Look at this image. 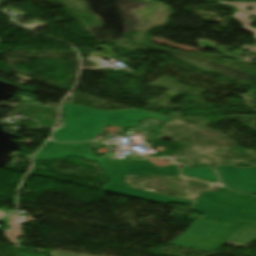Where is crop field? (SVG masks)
Masks as SVG:
<instances>
[{
    "instance_id": "crop-field-5",
    "label": "crop field",
    "mask_w": 256,
    "mask_h": 256,
    "mask_svg": "<svg viewBox=\"0 0 256 256\" xmlns=\"http://www.w3.org/2000/svg\"><path fill=\"white\" fill-rule=\"evenodd\" d=\"M250 16L251 15L237 11V12H235V14L232 17H234L238 21L242 22V24H243L242 28L244 30L255 33L254 37L256 38V29L249 27L253 23V21L248 19Z\"/></svg>"
},
{
    "instance_id": "crop-field-4",
    "label": "crop field",
    "mask_w": 256,
    "mask_h": 256,
    "mask_svg": "<svg viewBox=\"0 0 256 256\" xmlns=\"http://www.w3.org/2000/svg\"><path fill=\"white\" fill-rule=\"evenodd\" d=\"M28 223L26 217L21 215H11L9 220V225L12 227L10 230L4 231L7 238L14 243H19L16 237L24 236L22 230L20 229V224ZM12 233L13 235H10Z\"/></svg>"
},
{
    "instance_id": "crop-field-3",
    "label": "crop field",
    "mask_w": 256,
    "mask_h": 256,
    "mask_svg": "<svg viewBox=\"0 0 256 256\" xmlns=\"http://www.w3.org/2000/svg\"><path fill=\"white\" fill-rule=\"evenodd\" d=\"M182 175L209 182L220 181L223 185L238 191L256 192V167L248 169H240L233 165L211 168L186 167L182 169Z\"/></svg>"
},
{
    "instance_id": "crop-field-7",
    "label": "crop field",
    "mask_w": 256,
    "mask_h": 256,
    "mask_svg": "<svg viewBox=\"0 0 256 256\" xmlns=\"http://www.w3.org/2000/svg\"><path fill=\"white\" fill-rule=\"evenodd\" d=\"M127 175H156L152 171L145 168L129 169L126 170Z\"/></svg>"
},
{
    "instance_id": "crop-field-6",
    "label": "crop field",
    "mask_w": 256,
    "mask_h": 256,
    "mask_svg": "<svg viewBox=\"0 0 256 256\" xmlns=\"http://www.w3.org/2000/svg\"><path fill=\"white\" fill-rule=\"evenodd\" d=\"M220 3L230 4V5L234 6L235 8H237V9H239V10H241V11L248 12V13H251V14L256 15V3H243V2L227 3V2H223V1H220ZM247 5H249V6H255L252 12L245 11Z\"/></svg>"
},
{
    "instance_id": "crop-field-9",
    "label": "crop field",
    "mask_w": 256,
    "mask_h": 256,
    "mask_svg": "<svg viewBox=\"0 0 256 256\" xmlns=\"http://www.w3.org/2000/svg\"><path fill=\"white\" fill-rule=\"evenodd\" d=\"M243 49H245V50H250V51H256V47L250 49V48H248V46H245Z\"/></svg>"
},
{
    "instance_id": "crop-field-10",
    "label": "crop field",
    "mask_w": 256,
    "mask_h": 256,
    "mask_svg": "<svg viewBox=\"0 0 256 256\" xmlns=\"http://www.w3.org/2000/svg\"><path fill=\"white\" fill-rule=\"evenodd\" d=\"M4 215H6V214L3 213V212H0V217H2V216H4Z\"/></svg>"
},
{
    "instance_id": "crop-field-1",
    "label": "crop field",
    "mask_w": 256,
    "mask_h": 256,
    "mask_svg": "<svg viewBox=\"0 0 256 256\" xmlns=\"http://www.w3.org/2000/svg\"><path fill=\"white\" fill-rule=\"evenodd\" d=\"M47 146L58 148L52 152H39L34 159H59L64 157L77 156L86 160L97 162L101 165L105 174L110 179V183L104 186V190L112 193L122 194L135 198L145 199L159 203H178L191 205V201L163 197L143 191H139L127 186L124 183L126 177L125 169L145 167L158 175H175L178 176V169L174 164L164 166L162 168L156 167L151 161H114L108 159L98 158L91 155L93 143H72V144H57L49 142Z\"/></svg>"
},
{
    "instance_id": "crop-field-2",
    "label": "crop field",
    "mask_w": 256,
    "mask_h": 256,
    "mask_svg": "<svg viewBox=\"0 0 256 256\" xmlns=\"http://www.w3.org/2000/svg\"><path fill=\"white\" fill-rule=\"evenodd\" d=\"M64 108L66 122L54 133V139L59 142L89 140L101 133L105 125L131 127L146 117L164 121L171 119L139 109L100 111L70 104Z\"/></svg>"
},
{
    "instance_id": "crop-field-8",
    "label": "crop field",
    "mask_w": 256,
    "mask_h": 256,
    "mask_svg": "<svg viewBox=\"0 0 256 256\" xmlns=\"http://www.w3.org/2000/svg\"><path fill=\"white\" fill-rule=\"evenodd\" d=\"M51 150H55V148L45 146L41 151H51Z\"/></svg>"
}]
</instances>
